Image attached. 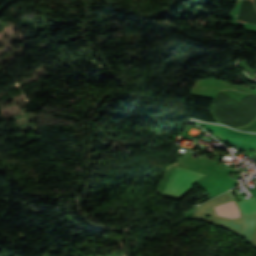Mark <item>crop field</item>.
Segmentation results:
<instances>
[{
  "instance_id": "34b2d1b8",
  "label": "crop field",
  "mask_w": 256,
  "mask_h": 256,
  "mask_svg": "<svg viewBox=\"0 0 256 256\" xmlns=\"http://www.w3.org/2000/svg\"><path fill=\"white\" fill-rule=\"evenodd\" d=\"M244 215L256 213V198H250L245 201L239 202Z\"/></svg>"
},
{
  "instance_id": "8a807250",
  "label": "crop field",
  "mask_w": 256,
  "mask_h": 256,
  "mask_svg": "<svg viewBox=\"0 0 256 256\" xmlns=\"http://www.w3.org/2000/svg\"><path fill=\"white\" fill-rule=\"evenodd\" d=\"M204 174L176 167L164 193L181 197L192 186V184Z\"/></svg>"
},
{
  "instance_id": "ac0d7876",
  "label": "crop field",
  "mask_w": 256,
  "mask_h": 256,
  "mask_svg": "<svg viewBox=\"0 0 256 256\" xmlns=\"http://www.w3.org/2000/svg\"><path fill=\"white\" fill-rule=\"evenodd\" d=\"M217 215L227 217V218H236L240 216L239 209L235 201L228 202L226 204L220 205L214 208Z\"/></svg>"
}]
</instances>
